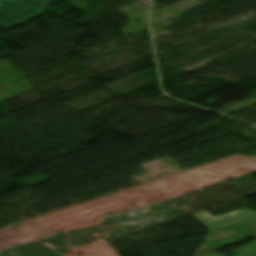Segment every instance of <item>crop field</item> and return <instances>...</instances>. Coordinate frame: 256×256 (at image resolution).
<instances>
[{"mask_svg": "<svg viewBox=\"0 0 256 256\" xmlns=\"http://www.w3.org/2000/svg\"><path fill=\"white\" fill-rule=\"evenodd\" d=\"M48 7L47 0H0V26L9 28L38 17Z\"/></svg>", "mask_w": 256, "mask_h": 256, "instance_id": "8a807250", "label": "crop field"}, {"mask_svg": "<svg viewBox=\"0 0 256 256\" xmlns=\"http://www.w3.org/2000/svg\"><path fill=\"white\" fill-rule=\"evenodd\" d=\"M193 217L202 225H204L207 229L211 230L232 223L254 218L256 217V213L243 209L213 218L208 213L203 211L201 213L193 215Z\"/></svg>", "mask_w": 256, "mask_h": 256, "instance_id": "ac0d7876", "label": "crop field"}, {"mask_svg": "<svg viewBox=\"0 0 256 256\" xmlns=\"http://www.w3.org/2000/svg\"><path fill=\"white\" fill-rule=\"evenodd\" d=\"M233 256H256V243L247 248L235 253Z\"/></svg>", "mask_w": 256, "mask_h": 256, "instance_id": "34b2d1b8", "label": "crop field"}, {"mask_svg": "<svg viewBox=\"0 0 256 256\" xmlns=\"http://www.w3.org/2000/svg\"><path fill=\"white\" fill-rule=\"evenodd\" d=\"M206 256H223V255H219V254L211 253V254L206 255Z\"/></svg>", "mask_w": 256, "mask_h": 256, "instance_id": "412701ff", "label": "crop field"}]
</instances>
